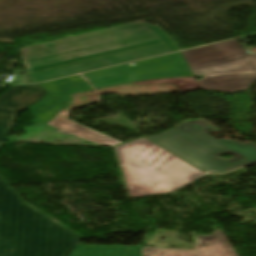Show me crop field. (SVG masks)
<instances>
[{"label":"crop field","instance_id":"1","mask_svg":"<svg viewBox=\"0 0 256 256\" xmlns=\"http://www.w3.org/2000/svg\"><path fill=\"white\" fill-rule=\"evenodd\" d=\"M19 50L33 83L179 49L158 26L139 21Z\"/></svg>","mask_w":256,"mask_h":256},{"label":"crop field","instance_id":"2","mask_svg":"<svg viewBox=\"0 0 256 256\" xmlns=\"http://www.w3.org/2000/svg\"><path fill=\"white\" fill-rule=\"evenodd\" d=\"M115 149L131 197L172 192L205 175L145 138Z\"/></svg>","mask_w":256,"mask_h":256},{"label":"crop field","instance_id":"3","mask_svg":"<svg viewBox=\"0 0 256 256\" xmlns=\"http://www.w3.org/2000/svg\"><path fill=\"white\" fill-rule=\"evenodd\" d=\"M207 129L221 131L205 120L192 119L150 139L207 172H223L256 162L255 144L216 140L203 132ZM221 153H233L235 157L223 160L218 157Z\"/></svg>","mask_w":256,"mask_h":256},{"label":"crop field","instance_id":"4","mask_svg":"<svg viewBox=\"0 0 256 256\" xmlns=\"http://www.w3.org/2000/svg\"><path fill=\"white\" fill-rule=\"evenodd\" d=\"M202 89L234 92L256 81V53L248 56L237 39L182 52Z\"/></svg>","mask_w":256,"mask_h":256},{"label":"crop field","instance_id":"5","mask_svg":"<svg viewBox=\"0 0 256 256\" xmlns=\"http://www.w3.org/2000/svg\"><path fill=\"white\" fill-rule=\"evenodd\" d=\"M82 239L45 215L0 231V256H68Z\"/></svg>","mask_w":256,"mask_h":256},{"label":"crop field","instance_id":"6","mask_svg":"<svg viewBox=\"0 0 256 256\" xmlns=\"http://www.w3.org/2000/svg\"><path fill=\"white\" fill-rule=\"evenodd\" d=\"M47 94L39 84H35L15 85L0 96V148L16 115L44 99Z\"/></svg>","mask_w":256,"mask_h":256},{"label":"crop field","instance_id":"7","mask_svg":"<svg viewBox=\"0 0 256 256\" xmlns=\"http://www.w3.org/2000/svg\"><path fill=\"white\" fill-rule=\"evenodd\" d=\"M40 85L49 94L44 100L28 108L38 123L50 120L67 101L71 90L92 89L79 75Z\"/></svg>","mask_w":256,"mask_h":256},{"label":"crop field","instance_id":"8","mask_svg":"<svg viewBox=\"0 0 256 256\" xmlns=\"http://www.w3.org/2000/svg\"><path fill=\"white\" fill-rule=\"evenodd\" d=\"M45 215L26 203L0 178V230Z\"/></svg>","mask_w":256,"mask_h":256},{"label":"crop field","instance_id":"9","mask_svg":"<svg viewBox=\"0 0 256 256\" xmlns=\"http://www.w3.org/2000/svg\"><path fill=\"white\" fill-rule=\"evenodd\" d=\"M68 113V110L62 109L59 115L57 114L58 116L47 124L62 131H65L67 133L73 134L90 142H93L95 144L111 146L117 143H121L115 139H112L108 136H105L101 133H98L94 130H91L85 126H82L78 123H75L67 119Z\"/></svg>","mask_w":256,"mask_h":256},{"label":"crop field","instance_id":"10","mask_svg":"<svg viewBox=\"0 0 256 256\" xmlns=\"http://www.w3.org/2000/svg\"><path fill=\"white\" fill-rule=\"evenodd\" d=\"M201 244L196 246L199 256H236L220 231L210 236H198Z\"/></svg>","mask_w":256,"mask_h":256},{"label":"crop field","instance_id":"11","mask_svg":"<svg viewBox=\"0 0 256 256\" xmlns=\"http://www.w3.org/2000/svg\"><path fill=\"white\" fill-rule=\"evenodd\" d=\"M69 256H139V247L77 245Z\"/></svg>","mask_w":256,"mask_h":256},{"label":"crop field","instance_id":"12","mask_svg":"<svg viewBox=\"0 0 256 256\" xmlns=\"http://www.w3.org/2000/svg\"><path fill=\"white\" fill-rule=\"evenodd\" d=\"M162 83H173L181 91H194V90L201 89L196 79L193 77L150 80V81H144V82H138V83H132V84L148 85V84H162Z\"/></svg>","mask_w":256,"mask_h":256},{"label":"crop field","instance_id":"13","mask_svg":"<svg viewBox=\"0 0 256 256\" xmlns=\"http://www.w3.org/2000/svg\"><path fill=\"white\" fill-rule=\"evenodd\" d=\"M143 256H198L196 250L143 248Z\"/></svg>","mask_w":256,"mask_h":256}]
</instances>
